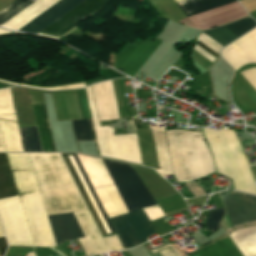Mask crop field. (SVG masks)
<instances>
[{"mask_svg": "<svg viewBox=\"0 0 256 256\" xmlns=\"http://www.w3.org/2000/svg\"><path fill=\"white\" fill-rule=\"evenodd\" d=\"M77 141L94 140L89 119L72 121Z\"/></svg>", "mask_w": 256, "mask_h": 256, "instance_id": "crop-field-24", "label": "crop field"}, {"mask_svg": "<svg viewBox=\"0 0 256 256\" xmlns=\"http://www.w3.org/2000/svg\"><path fill=\"white\" fill-rule=\"evenodd\" d=\"M48 215L73 212L85 238V253L108 251L60 154H29Z\"/></svg>", "mask_w": 256, "mask_h": 256, "instance_id": "crop-field-1", "label": "crop field"}, {"mask_svg": "<svg viewBox=\"0 0 256 256\" xmlns=\"http://www.w3.org/2000/svg\"><path fill=\"white\" fill-rule=\"evenodd\" d=\"M109 249L110 250H118V249H123V247L121 246L117 236H110V237H106L104 238Z\"/></svg>", "mask_w": 256, "mask_h": 256, "instance_id": "crop-field-29", "label": "crop field"}, {"mask_svg": "<svg viewBox=\"0 0 256 256\" xmlns=\"http://www.w3.org/2000/svg\"><path fill=\"white\" fill-rule=\"evenodd\" d=\"M34 246H55L28 154H6Z\"/></svg>", "mask_w": 256, "mask_h": 256, "instance_id": "crop-field-3", "label": "crop field"}, {"mask_svg": "<svg viewBox=\"0 0 256 256\" xmlns=\"http://www.w3.org/2000/svg\"><path fill=\"white\" fill-rule=\"evenodd\" d=\"M1 83H7V84H11V85H15V86H18V84H15V83H10V82H6V81H2L0 80Z\"/></svg>", "mask_w": 256, "mask_h": 256, "instance_id": "crop-field-33", "label": "crop field"}, {"mask_svg": "<svg viewBox=\"0 0 256 256\" xmlns=\"http://www.w3.org/2000/svg\"><path fill=\"white\" fill-rule=\"evenodd\" d=\"M15 113L9 89L0 90V114Z\"/></svg>", "mask_w": 256, "mask_h": 256, "instance_id": "crop-field-25", "label": "crop field"}, {"mask_svg": "<svg viewBox=\"0 0 256 256\" xmlns=\"http://www.w3.org/2000/svg\"><path fill=\"white\" fill-rule=\"evenodd\" d=\"M234 25H236L240 30H242L244 33L251 30L252 28L256 27V22L253 21L251 18H245L236 22H233ZM232 23L225 25V27L231 31L237 38L244 34L242 31H240L236 26H234ZM224 26L213 29V30H206L205 32L208 36H210L212 39H214L216 42H218L223 47L227 44H229L231 41L237 39L232 33H230ZM199 46H201L203 49L211 53L213 56H217L216 53H214L211 49H209L206 45H204L201 41H197Z\"/></svg>", "mask_w": 256, "mask_h": 256, "instance_id": "crop-field-12", "label": "crop field"}, {"mask_svg": "<svg viewBox=\"0 0 256 256\" xmlns=\"http://www.w3.org/2000/svg\"><path fill=\"white\" fill-rule=\"evenodd\" d=\"M244 256H256V226L229 234Z\"/></svg>", "mask_w": 256, "mask_h": 256, "instance_id": "crop-field-17", "label": "crop field"}, {"mask_svg": "<svg viewBox=\"0 0 256 256\" xmlns=\"http://www.w3.org/2000/svg\"><path fill=\"white\" fill-rule=\"evenodd\" d=\"M20 86H24V85H20ZM25 87H30V86H25ZM82 87H86L84 82L74 84V85H69V86L52 87V88H38V89L57 90V89H69V88H82ZM31 88H37V87H31Z\"/></svg>", "mask_w": 256, "mask_h": 256, "instance_id": "crop-field-30", "label": "crop field"}, {"mask_svg": "<svg viewBox=\"0 0 256 256\" xmlns=\"http://www.w3.org/2000/svg\"><path fill=\"white\" fill-rule=\"evenodd\" d=\"M224 213H225L224 208L209 212L210 218L207 219L206 225H207V228L210 230V232L221 227L219 222Z\"/></svg>", "mask_w": 256, "mask_h": 256, "instance_id": "crop-field-26", "label": "crop field"}, {"mask_svg": "<svg viewBox=\"0 0 256 256\" xmlns=\"http://www.w3.org/2000/svg\"><path fill=\"white\" fill-rule=\"evenodd\" d=\"M129 212L156 205V202L135 174L131 165L103 160Z\"/></svg>", "mask_w": 256, "mask_h": 256, "instance_id": "crop-field-8", "label": "crop field"}, {"mask_svg": "<svg viewBox=\"0 0 256 256\" xmlns=\"http://www.w3.org/2000/svg\"><path fill=\"white\" fill-rule=\"evenodd\" d=\"M101 80H103L102 77L97 78V79H94V80H91V81H87V82H85V83H86V85L88 86V85H90V84H92V83H94V82L101 81Z\"/></svg>", "mask_w": 256, "mask_h": 256, "instance_id": "crop-field-32", "label": "crop field"}, {"mask_svg": "<svg viewBox=\"0 0 256 256\" xmlns=\"http://www.w3.org/2000/svg\"><path fill=\"white\" fill-rule=\"evenodd\" d=\"M44 152H55L44 104L33 106Z\"/></svg>", "mask_w": 256, "mask_h": 256, "instance_id": "crop-field-18", "label": "crop field"}, {"mask_svg": "<svg viewBox=\"0 0 256 256\" xmlns=\"http://www.w3.org/2000/svg\"><path fill=\"white\" fill-rule=\"evenodd\" d=\"M75 92H76L82 119L91 118L84 89L83 90H75Z\"/></svg>", "mask_w": 256, "mask_h": 256, "instance_id": "crop-field-27", "label": "crop field"}, {"mask_svg": "<svg viewBox=\"0 0 256 256\" xmlns=\"http://www.w3.org/2000/svg\"><path fill=\"white\" fill-rule=\"evenodd\" d=\"M6 248H7V244H6L5 238L2 237L0 238V256H3V254L6 251Z\"/></svg>", "mask_w": 256, "mask_h": 256, "instance_id": "crop-field-31", "label": "crop field"}, {"mask_svg": "<svg viewBox=\"0 0 256 256\" xmlns=\"http://www.w3.org/2000/svg\"><path fill=\"white\" fill-rule=\"evenodd\" d=\"M91 87L99 120L119 119L111 80Z\"/></svg>", "mask_w": 256, "mask_h": 256, "instance_id": "crop-field-11", "label": "crop field"}, {"mask_svg": "<svg viewBox=\"0 0 256 256\" xmlns=\"http://www.w3.org/2000/svg\"><path fill=\"white\" fill-rule=\"evenodd\" d=\"M153 40L155 41L152 42ZM161 42L162 40L153 38L125 46L116 57L115 68L133 77Z\"/></svg>", "mask_w": 256, "mask_h": 256, "instance_id": "crop-field-10", "label": "crop field"}, {"mask_svg": "<svg viewBox=\"0 0 256 256\" xmlns=\"http://www.w3.org/2000/svg\"><path fill=\"white\" fill-rule=\"evenodd\" d=\"M165 132L176 182L201 178L214 172L212 157L202 133L184 130Z\"/></svg>", "mask_w": 256, "mask_h": 256, "instance_id": "crop-field-4", "label": "crop field"}, {"mask_svg": "<svg viewBox=\"0 0 256 256\" xmlns=\"http://www.w3.org/2000/svg\"><path fill=\"white\" fill-rule=\"evenodd\" d=\"M82 1L83 0H61L36 19L21 28L20 31L38 34ZM107 1L108 0H85L42 31L39 35L58 39L73 28L84 17L97 11Z\"/></svg>", "mask_w": 256, "mask_h": 256, "instance_id": "crop-field-6", "label": "crop field"}, {"mask_svg": "<svg viewBox=\"0 0 256 256\" xmlns=\"http://www.w3.org/2000/svg\"><path fill=\"white\" fill-rule=\"evenodd\" d=\"M206 141L212 151L217 173L230 177L236 190L256 194V183L235 132L205 129Z\"/></svg>", "mask_w": 256, "mask_h": 256, "instance_id": "crop-field-5", "label": "crop field"}, {"mask_svg": "<svg viewBox=\"0 0 256 256\" xmlns=\"http://www.w3.org/2000/svg\"><path fill=\"white\" fill-rule=\"evenodd\" d=\"M157 156L158 163L161 170H157L162 177L171 175V166L168 155V149L166 144L165 132L164 130H152Z\"/></svg>", "mask_w": 256, "mask_h": 256, "instance_id": "crop-field-19", "label": "crop field"}, {"mask_svg": "<svg viewBox=\"0 0 256 256\" xmlns=\"http://www.w3.org/2000/svg\"><path fill=\"white\" fill-rule=\"evenodd\" d=\"M36 0H15L0 11V25Z\"/></svg>", "mask_w": 256, "mask_h": 256, "instance_id": "crop-field-23", "label": "crop field"}, {"mask_svg": "<svg viewBox=\"0 0 256 256\" xmlns=\"http://www.w3.org/2000/svg\"><path fill=\"white\" fill-rule=\"evenodd\" d=\"M16 194V187L6 155L0 154V198Z\"/></svg>", "mask_w": 256, "mask_h": 256, "instance_id": "crop-field-21", "label": "crop field"}, {"mask_svg": "<svg viewBox=\"0 0 256 256\" xmlns=\"http://www.w3.org/2000/svg\"><path fill=\"white\" fill-rule=\"evenodd\" d=\"M85 91L101 156L142 164L136 134L114 136L109 126L100 127L90 86Z\"/></svg>", "mask_w": 256, "mask_h": 256, "instance_id": "crop-field-7", "label": "crop field"}, {"mask_svg": "<svg viewBox=\"0 0 256 256\" xmlns=\"http://www.w3.org/2000/svg\"><path fill=\"white\" fill-rule=\"evenodd\" d=\"M233 1L236 0H183L177 4L189 17Z\"/></svg>", "mask_w": 256, "mask_h": 256, "instance_id": "crop-field-20", "label": "crop field"}, {"mask_svg": "<svg viewBox=\"0 0 256 256\" xmlns=\"http://www.w3.org/2000/svg\"><path fill=\"white\" fill-rule=\"evenodd\" d=\"M151 253L153 256H180L171 245L156 249Z\"/></svg>", "mask_w": 256, "mask_h": 256, "instance_id": "crop-field-28", "label": "crop field"}, {"mask_svg": "<svg viewBox=\"0 0 256 256\" xmlns=\"http://www.w3.org/2000/svg\"><path fill=\"white\" fill-rule=\"evenodd\" d=\"M232 226L256 222V197L228 192L221 195ZM227 213L224 217L228 228H232Z\"/></svg>", "mask_w": 256, "mask_h": 256, "instance_id": "crop-field-9", "label": "crop field"}, {"mask_svg": "<svg viewBox=\"0 0 256 256\" xmlns=\"http://www.w3.org/2000/svg\"><path fill=\"white\" fill-rule=\"evenodd\" d=\"M56 244L83 237L72 213L48 216Z\"/></svg>", "mask_w": 256, "mask_h": 256, "instance_id": "crop-field-13", "label": "crop field"}, {"mask_svg": "<svg viewBox=\"0 0 256 256\" xmlns=\"http://www.w3.org/2000/svg\"><path fill=\"white\" fill-rule=\"evenodd\" d=\"M0 128L6 152H24L15 114L0 115Z\"/></svg>", "mask_w": 256, "mask_h": 256, "instance_id": "crop-field-14", "label": "crop field"}, {"mask_svg": "<svg viewBox=\"0 0 256 256\" xmlns=\"http://www.w3.org/2000/svg\"><path fill=\"white\" fill-rule=\"evenodd\" d=\"M62 155H63V157H64V159H65V161H66V163H67V165H68V167H69V169H70V171H71V173H72V175H73V177H74V179H75V181H76V183H77V185H78V187H79V189H80V191H81V193H82V195H83V197H84V199H85V201H86V203H87V205H88V207H89V209H90V211H91V213H92V215L95 219V221H96V224H97L102 236L103 237L110 236L111 234L106 235V233H105V231H104V229H103V227H102V225H101V223H100V221H99V219H98V217H97V215H96V213H95V211H94V209H93V207H92V205H91V203H90V201H89V199H88V197H87V195H86V193H85V191H84V189H83V187H82V185H81V183H80V181H79V179H78V177H77V175H76V173H75V171H74V169H73V167H72V165L69 161V159H68V157H67V155H71V154H62ZM72 155H73V158H74V160H75V162H76V164H77V166H78V168H79V170H80V172H81V174H82V176H83V178H84V180H85V182H86V184H87V186H88V188L91 192V194L93 195V197H94V199H95V201H96V203H97V205H98V207H99V209H100V211H101V213H102V215H103V217H104V219H105V221H106V223H107V225H108V227L111 231V233L113 235L116 234L112 225H111V223H110V221H109V219L107 218V216H106V214H105V212H104V210H103V208H102V206H101V204H100V202H99V200H98V198H97V196H96V194H95V192H94V190H93V188H92V186H91V184H90V182H89V180H88V178H87V176H86V174H85V172H84V170L81 166V164L79 163L76 155L75 154H72Z\"/></svg>", "mask_w": 256, "mask_h": 256, "instance_id": "crop-field-15", "label": "crop field"}, {"mask_svg": "<svg viewBox=\"0 0 256 256\" xmlns=\"http://www.w3.org/2000/svg\"><path fill=\"white\" fill-rule=\"evenodd\" d=\"M190 256H242L227 236L199 249Z\"/></svg>", "mask_w": 256, "mask_h": 256, "instance_id": "crop-field-16", "label": "crop field"}, {"mask_svg": "<svg viewBox=\"0 0 256 256\" xmlns=\"http://www.w3.org/2000/svg\"><path fill=\"white\" fill-rule=\"evenodd\" d=\"M6 87H8V86H6L5 84L0 83V88H6Z\"/></svg>", "mask_w": 256, "mask_h": 256, "instance_id": "crop-field-34", "label": "crop field"}, {"mask_svg": "<svg viewBox=\"0 0 256 256\" xmlns=\"http://www.w3.org/2000/svg\"><path fill=\"white\" fill-rule=\"evenodd\" d=\"M19 129L25 152H42L36 126Z\"/></svg>", "mask_w": 256, "mask_h": 256, "instance_id": "crop-field-22", "label": "crop field"}, {"mask_svg": "<svg viewBox=\"0 0 256 256\" xmlns=\"http://www.w3.org/2000/svg\"><path fill=\"white\" fill-rule=\"evenodd\" d=\"M77 156L108 217L128 212L102 160ZM109 219L124 248L135 245L156 232L142 209Z\"/></svg>", "mask_w": 256, "mask_h": 256, "instance_id": "crop-field-2", "label": "crop field"}]
</instances>
